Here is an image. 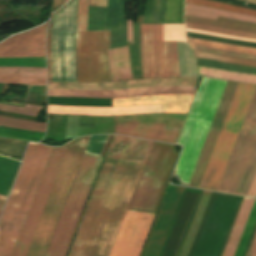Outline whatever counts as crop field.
<instances>
[{
  "mask_svg": "<svg viewBox=\"0 0 256 256\" xmlns=\"http://www.w3.org/2000/svg\"><path fill=\"white\" fill-rule=\"evenodd\" d=\"M2 209H3V207H2V206H0V214H1Z\"/></svg>",
  "mask_w": 256,
  "mask_h": 256,
  "instance_id": "obj_51",
  "label": "crop field"
},
{
  "mask_svg": "<svg viewBox=\"0 0 256 256\" xmlns=\"http://www.w3.org/2000/svg\"><path fill=\"white\" fill-rule=\"evenodd\" d=\"M110 136L90 137L45 256L66 255Z\"/></svg>",
  "mask_w": 256,
  "mask_h": 256,
  "instance_id": "obj_5",
  "label": "crop field"
},
{
  "mask_svg": "<svg viewBox=\"0 0 256 256\" xmlns=\"http://www.w3.org/2000/svg\"><path fill=\"white\" fill-rule=\"evenodd\" d=\"M0 125L41 132H45L46 130V124L43 123L30 122L6 117H0Z\"/></svg>",
  "mask_w": 256,
  "mask_h": 256,
  "instance_id": "obj_36",
  "label": "crop field"
},
{
  "mask_svg": "<svg viewBox=\"0 0 256 256\" xmlns=\"http://www.w3.org/2000/svg\"><path fill=\"white\" fill-rule=\"evenodd\" d=\"M162 105L131 106L118 108L62 107L48 105V113L84 115H123L137 113H160Z\"/></svg>",
  "mask_w": 256,
  "mask_h": 256,
  "instance_id": "obj_20",
  "label": "crop field"
},
{
  "mask_svg": "<svg viewBox=\"0 0 256 256\" xmlns=\"http://www.w3.org/2000/svg\"><path fill=\"white\" fill-rule=\"evenodd\" d=\"M77 16L78 0L55 14V24L52 16L47 39L48 82L53 24L50 81H77ZM109 39L110 31L78 32V82L110 81L106 54Z\"/></svg>",
  "mask_w": 256,
  "mask_h": 256,
  "instance_id": "obj_2",
  "label": "crop field"
},
{
  "mask_svg": "<svg viewBox=\"0 0 256 256\" xmlns=\"http://www.w3.org/2000/svg\"><path fill=\"white\" fill-rule=\"evenodd\" d=\"M255 89L254 85L238 84L200 189L217 190Z\"/></svg>",
  "mask_w": 256,
  "mask_h": 256,
  "instance_id": "obj_8",
  "label": "crop field"
},
{
  "mask_svg": "<svg viewBox=\"0 0 256 256\" xmlns=\"http://www.w3.org/2000/svg\"><path fill=\"white\" fill-rule=\"evenodd\" d=\"M175 39L186 42L184 25H164V41Z\"/></svg>",
  "mask_w": 256,
  "mask_h": 256,
  "instance_id": "obj_38",
  "label": "crop field"
},
{
  "mask_svg": "<svg viewBox=\"0 0 256 256\" xmlns=\"http://www.w3.org/2000/svg\"><path fill=\"white\" fill-rule=\"evenodd\" d=\"M165 0H148L145 23L163 24Z\"/></svg>",
  "mask_w": 256,
  "mask_h": 256,
  "instance_id": "obj_31",
  "label": "crop field"
},
{
  "mask_svg": "<svg viewBox=\"0 0 256 256\" xmlns=\"http://www.w3.org/2000/svg\"><path fill=\"white\" fill-rule=\"evenodd\" d=\"M186 30L189 31V32H195V33H200V34H206V35H213V36H219V37H226V38L239 39V40H247V41H255L256 42V40H249V39H242V38L218 35V34H213V33L205 32V31L190 30V29H186Z\"/></svg>",
  "mask_w": 256,
  "mask_h": 256,
  "instance_id": "obj_45",
  "label": "crop field"
},
{
  "mask_svg": "<svg viewBox=\"0 0 256 256\" xmlns=\"http://www.w3.org/2000/svg\"><path fill=\"white\" fill-rule=\"evenodd\" d=\"M127 139L112 138L69 256L84 253ZM151 143L128 139L83 256H109Z\"/></svg>",
  "mask_w": 256,
  "mask_h": 256,
  "instance_id": "obj_1",
  "label": "crop field"
},
{
  "mask_svg": "<svg viewBox=\"0 0 256 256\" xmlns=\"http://www.w3.org/2000/svg\"><path fill=\"white\" fill-rule=\"evenodd\" d=\"M95 120H111L110 117L79 116L78 126H95Z\"/></svg>",
  "mask_w": 256,
  "mask_h": 256,
  "instance_id": "obj_43",
  "label": "crop field"
},
{
  "mask_svg": "<svg viewBox=\"0 0 256 256\" xmlns=\"http://www.w3.org/2000/svg\"><path fill=\"white\" fill-rule=\"evenodd\" d=\"M0 83L46 85V68L0 67Z\"/></svg>",
  "mask_w": 256,
  "mask_h": 256,
  "instance_id": "obj_21",
  "label": "crop field"
},
{
  "mask_svg": "<svg viewBox=\"0 0 256 256\" xmlns=\"http://www.w3.org/2000/svg\"><path fill=\"white\" fill-rule=\"evenodd\" d=\"M247 196L256 197V174L254 176L253 182L251 184V187Z\"/></svg>",
  "mask_w": 256,
  "mask_h": 256,
  "instance_id": "obj_48",
  "label": "crop field"
},
{
  "mask_svg": "<svg viewBox=\"0 0 256 256\" xmlns=\"http://www.w3.org/2000/svg\"><path fill=\"white\" fill-rule=\"evenodd\" d=\"M134 45L129 46L133 79L143 78L140 52V24L133 23Z\"/></svg>",
  "mask_w": 256,
  "mask_h": 256,
  "instance_id": "obj_27",
  "label": "crop field"
},
{
  "mask_svg": "<svg viewBox=\"0 0 256 256\" xmlns=\"http://www.w3.org/2000/svg\"><path fill=\"white\" fill-rule=\"evenodd\" d=\"M111 30V47L127 45L125 0H108L107 9L89 7L88 31Z\"/></svg>",
  "mask_w": 256,
  "mask_h": 256,
  "instance_id": "obj_12",
  "label": "crop field"
},
{
  "mask_svg": "<svg viewBox=\"0 0 256 256\" xmlns=\"http://www.w3.org/2000/svg\"><path fill=\"white\" fill-rule=\"evenodd\" d=\"M52 147L30 143L0 220V256H11Z\"/></svg>",
  "mask_w": 256,
  "mask_h": 256,
  "instance_id": "obj_4",
  "label": "crop field"
},
{
  "mask_svg": "<svg viewBox=\"0 0 256 256\" xmlns=\"http://www.w3.org/2000/svg\"><path fill=\"white\" fill-rule=\"evenodd\" d=\"M67 146L52 148L12 256H26Z\"/></svg>",
  "mask_w": 256,
  "mask_h": 256,
  "instance_id": "obj_11",
  "label": "crop field"
},
{
  "mask_svg": "<svg viewBox=\"0 0 256 256\" xmlns=\"http://www.w3.org/2000/svg\"><path fill=\"white\" fill-rule=\"evenodd\" d=\"M67 1H69V0H65V3H66Z\"/></svg>",
  "mask_w": 256,
  "mask_h": 256,
  "instance_id": "obj_52",
  "label": "crop field"
},
{
  "mask_svg": "<svg viewBox=\"0 0 256 256\" xmlns=\"http://www.w3.org/2000/svg\"><path fill=\"white\" fill-rule=\"evenodd\" d=\"M227 82L203 78L177 144L185 145L174 173L189 183Z\"/></svg>",
  "mask_w": 256,
  "mask_h": 256,
  "instance_id": "obj_6",
  "label": "crop field"
},
{
  "mask_svg": "<svg viewBox=\"0 0 256 256\" xmlns=\"http://www.w3.org/2000/svg\"><path fill=\"white\" fill-rule=\"evenodd\" d=\"M127 38L128 45L133 44V36H132V21H127Z\"/></svg>",
  "mask_w": 256,
  "mask_h": 256,
  "instance_id": "obj_46",
  "label": "crop field"
},
{
  "mask_svg": "<svg viewBox=\"0 0 256 256\" xmlns=\"http://www.w3.org/2000/svg\"><path fill=\"white\" fill-rule=\"evenodd\" d=\"M243 1H247V2H251V3H255L256 4V0H243Z\"/></svg>",
  "mask_w": 256,
  "mask_h": 256,
  "instance_id": "obj_50",
  "label": "crop field"
},
{
  "mask_svg": "<svg viewBox=\"0 0 256 256\" xmlns=\"http://www.w3.org/2000/svg\"><path fill=\"white\" fill-rule=\"evenodd\" d=\"M255 199L244 197L222 256H233Z\"/></svg>",
  "mask_w": 256,
  "mask_h": 256,
  "instance_id": "obj_23",
  "label": "crop field"
},
{
  "mask_svg": "<svg viewBox=\"0 0 256 256\" xmlns=\"http://www.w3.org/2000/svg\"><path fill=\"white\" fill-rule=\"evenodd\" d=\"M198 75L236 82L256 84V76L254 75L239 74L200 66H198Z\"/></svg>",
  "mask_w": 256,
  "mask_h": 256,
  "instance_id": "obj_26",
  "label": "crop field"
},
{
  "mask_svg": "<svg viewBox=\"0 0 256 256\" xmlns=\"http://www.w3.org/2000/svg\"><path fill=\"white\" fill-rule=\"evenodd\" d=\"M237 84L238 83L228 82L226 85L225 91L223 93L222 99L220 101L219 107L217 109L216 115L214 117L213 123L211 125L210 131L208 133L195 171L193 173L192 179L190 181V187L198 188L200 185L201 179L203 177L204 171L206 169L207 163L209 161L210 155L212 153L216 139L220 132L221 126L223 124L224 118L226 116L227 110L229 108Z\"/></svg>",
  "mask_w": 256,
  "mask_h": 256,
  "instance_id": "obj_15",
  "label": "crop field"
},
{
  "mask_svg": "<svg viewBox=\"0 0 256 256\" xmlns=\"http://www.w3.org/2000/svg\"><path fill=\"white\" fill-rule=\"evenodd\" d=\"M185 15L204 17V18H209L214 20H216L218 16H221V17H227V18L256 23V18H253V17L233 14V13H228V12L214 10L206 7L188 5V4H185Z\"/></svg>",
  "mask_w": 256,
  "mask_h": 256,
  "instance_id": "obj_24",
  "label": "crop field"
},
{
  "mask_svg": "<svg viewBox=\"0 0 256 256\" xmlns=\"http://www.w3.org/2000/svg\"><path fill=\"white\" fill-rule=\"evenodd\" d=\"M195 87L191 86H163L144 87L118 91H79V90H48V96L63 97H89V98H123L136 96H152L166 94H189L194 95Z\"/></svg>",
  "mask_w": 256,
  "mask_h": 256,
  "instance_id": "obj_16",
  "label": "crop field"
},
{
  "mask_svg": "<svg viewBox=\"0 0 256 256\" xmlns=\"http://www.w3.org/2000/svg\"><path fill=\"white\" fill-rule=\"evenodd\" d=\"M6 196L0 195V205H4L5 201H6Z\"/></svg>",
  "mask_w": 256,
  "mask_h": 256,
  "instance_id": "obj_49",
  "label": "crop field"
},
{
  "mask_svg": "<svg viewBox=\"0 0 256 256\" xmlns=\"http://www.w3.org/2000/svg\"><path fill=\"white\" fill-rule=\"evenodd\" d=\"M187 39H188L189 43L192 45H198V46H204V47H210V48H216V49H222V50L256 55L255 48L241 47V46L223 44V43H218V42H213V41H208V40H201V39H191V38H187Z\"/></svg>",
  "mask_w": 256,
  "mask_h": 256,
  "instance_id": "obj_30",
  "label": "crop field"
},
{
  "mask_svg": "<svg viewBox=\"0 0 256 256\" xmlns=\"http://www.w3.org/2000/svg\"><path fill=\"white\" fill-rule=\"evenodd\" d=\"M256 171V92L217 191L247 195Z\"/></svg>",
  "mask_w": 256,
  "mask_h": 256,
  "instance_id": "obj_9",
  "label": "crop field"
},
{
  "mask_svg": "<svg viewBox=\"0 0 256 256\" xmlns=\"http://www.w3.org/2000/svg\"><path fill=\"white\" fill-rule=\"evenodd\" d=\"M185 23H186V28L201 29V30H207V31L232 35V36H236V37L256 39V34H250V33L242 32V31L228 30V29H222V28H217V27H213V26L193 24V23H188V25H189V27H188L187 22H185Z\"/></svg>",
  "mask_w": 256,
  "mask_h": 256,
  "instance_id": "obj_37",
  "label": "crop field"
},
{
  "mask_svg": "<svg viewBox=\"0 0 256 256\" xmlns=\"http://www.w3.org/2000/svg\"><path fill=\"white\" fill-rule=\"evenodd\" d=\"M178 154L153 142L128 210L155 215ZM126 211L110 256H139L154 216Z\"/></svg>",
  "mask_w": 256,
  "mask_h": 256,
  "instance_id": "obj_3",
  "label": "crop field"
},
{
  "mask_svg": "<svg viewBox=\"0 0 256 256\" xmlns=\"http://www.w3.org/2000/svg\"><path fill=\"white\" fill-rule=\"evenodd\" d=\"M111 81L132 79L128 47L108 49Z\"/></svg>",
  "mask_w": 256,
  "mask_h": 256,
  "instance_id": "obj_22",
  "label": "crop field"
},
{
  "mask_svg": "<svg viewBox=\"0 0 256 256\" xmlns=\"http://www.w3.org/2000/svg\"><path fill=\"white\" fill-rule=\"evenodd\" d=\"M196 78L150 79L116 83H48V89L118 90L144 86L191 85Z\"/></svg>",
  "mask_w": 256,
  "mask_h": 256,
  "instance_id": "obj_17",
  "label": "crop field"
},
{
  "mask_svg": "<svg viewBox=\"0 0 256 256\" xmlns=\"http://www.w3.org/2000/svg\"><path fill=\"white\" fill-rule=\"evenodd\" d=\"M182 190L168 185L142 256H158Z\"/></svg>",
  "mask_w": 256,
  "mask_h": 256,
  "instance_id": "obj_13",
  "label": "crop field"
},
{
  "mask_svg": "<svg viewBox=\"0 0 256 256\" xmlns=\"http://www.w3.org/2000/svg\"><path fill=\"white\" fill-rule=\"evenodd\" d=\"M20 162L0 156V194L8 195Z\"/></svg>",
  "mask_w": 256,
  "mask_h": 256,
  "instance_id": "obj_25",
  "label": "crop field"
},
{
  "mask_svg": "<svg viewBox=\"0 0 256 256\" xmlns=\"http://www.w3.org/2000/svg\"><path fill=\"white\" fill-rule=\"evenodd\" d=\"M185 21L228 27V28L249 31V32H256V25L254 24L243 23V22L225 19L221 17H219L217 21H214V20H209L204 18L185 16Z\"/></svg>",
  "mask_w": 256,
  "mask_h": 256,
  "instance_id": "obj_29",
  "label": "crop field"
},
{
  "mask_svg": "<svg viewBox=\"0 0 256 256\" xmlns=\"http://www.w3.org/2000/svg\"><path fill=\"white\" fill-rule=\"evenodd\" d=\"M186 3L189 4H195V5H201V6H208V7H214V8H220L244 15H250V16H256V11L250 10V9H245L241 7H236L232 5H227L223 3H218L210 0H186Z\"/></svg>",
  "mask_w": 256,
  "mask_h": 256,
  "instance_id": "obj_35",
  "label": "crop field"
},
{
  "mask_svg": "<svg viewBox=\"0 0 256 256\" xmlns=\"http://www.w3.org/2000/svg\"><path fill=\"white\" fill-rule=\"evenodd\" d=\"M115 133L175 144L181 128L162 124L114 122ZM181 132V131H180ZM178 140V139H177Z\"/></svg>",
  "mask_w": 256,
  "mask_h": 256,
  "instance_id": "obj_18",
  "label": "crop field"
},
{
  "mask_svg": "<svg viewBox=\"0 0 256 256\" xmlns=\"http://www.w3.org/2000/svg\"><path fill=\"white\" fill-rule=\"evenodd\" d=\"M89 6H93V7H97V6L106 7V0H89Z\"/></svg>",
  "mask_w": 256,
  "mask_h": 256,
  "instance_id": "obj_47",
  "label": "crop field"
},
{
  "mask_svg": "<svg viewBox=\"0 0 256 256\" xmlns=\"http://www.w3.org/2000/svg\"><path fill=\"white\" fill-rule=\"evenodd\" d=\"M144 78L180 77L176 42H162V25L141 24Z\"/></svg>",
  "mask_w": 256,
  "mask_h": 256,
  "instance_id": "obj_10",
  "label": "crop field"
},
{
  "mask_svg": "<svg viewBox=\"0 0 256 256\" xmlns=\"http://www.w3.org/2000/svg\"><path fill=\"white\" fill-rule=\"evenodd\" d=\"M88 0H79L78 31H87Z\"/></svg>",
  "mask_w": 256,
  "mask_h": 256,
  "instance_id": "obj_42",
  "label": "crop field"
},
{
  "mask_svg": "<svg viewBox=\"0 0 256 256\" xmlns=\"http://www.w3.org/2000/svg\"><path fill=\"white\" fill-rule=\"evenodd\" d=\"M191 47L193 48V50H196V51H202V52H208V53L256 60L255 55L240 54V53H234V52H228V51H222V50H216V49H210V48H204V47H198V46H192V45H191Z\"/></svg>",
  "mask_w": 256,
  "mask_h": 256,
  "instance_id": "obj_41",
  "label": "crop field"
},
{
  "mask_svg": "<svg viewBox=\"0 0 256 256\" xmlns=\"http://www.w3.org/2000/svg\"><path fill=\"white\" fill-rule=\"evenodd\" d=\"M255 223H256V200L254 202L253 208L249 215L248 221L246 223L245 229L243 231V234L241 236L240 242L238 244V247L236 249L234 256H243Z\"/></svg>",
  "mask_w": 256,
  "mask_h": 256,
  "instance_id": "obj_33",
  "label": "crop field"
},
{
  "mask_svg": "<svg viewBox=\"0 0 256 256\" xmlns=\"http://www.w3.org/2000/svg\"><path fill=\"white\" fill-rule=\"evenodd\" d=\"M194 96L167 95L112 99L113 106L163 104V112L187 113Z\"/></svg>",
  "mask_w": 256,
  "mask_h": 256,
  "instance_id": "obj_19",
  "label": "crop field"
},
{
  "mask_svg": "<svg viewBox=\"0 0 256 256\" xmlns=\"http://www.w3.org/2000/svg\"><path fill=\"white\" fill-rule=\"evenodd\" d=\"M211 192L204 191L201 197V200L199 202V205L197 207L196 213L194 215V218L192 220L191 226L189 228V231L187 233L186 239L184 241V244L182 246L181 252L179 256H187V253L189 251L190 245L192 243L193 237L195 235V232L197 230L198 224L200 222L201 216L203 214V211L205 209L206 203L208 201L209 195ZM195 238V237H194Z\"/></svg>",
  "mask_w": 256,
  "mask_h": 256,
  "instance_id": "obj_28",
  "label": "crop field"
},
{
  "mask_svg": "<svg viewBox=\"0 0 256 256\" xmlns=\"http://www.w3.org/2000/svg\"><path fill=\"white\" fill-rule=\"evenodd\" d=\"M89 137L70 142L27 256H44Z\"/></svg>",
  "mask_w": 256,
  "mask_h": 256,
  "instance_id": "obj_7",
  "label": "crop field"
},
{
  "mask_svg": "<svg viewBox=\"0 0 256 256\" xmlns=\"http://www.w3.org/2000/svg\"><path fill=\"white\" fill-rule=\"evenodd\" d=\"M245 256H256V229Z\"/></svg>",
  "mask_w": 256,
  "mask_h": 256,
  "instance_id": "obj_44",
  "label": "crop field"
},
{
  "mask_svg": "<svg viewBox=\"0 0 256 256\" xmlns=\"http://www.w3.org/2000/svg\"><path fill=\"white\" fill-rule=\"evenodd\" d=\"M47 23L0 43V57L46 56L44 46Z\"/></svg>",
  "mask_w": 256,
  "mask_h": 256,
  "instance_id": "obj_14",
  "label": "crop field"
},
{
  "mask_svg": "<svg viewBox=\"0 0 256 256\" xmlns=\"http://www.w3.org/2000/svg\"><path fill=\"white\" fill-rule=\"evenodd\" d=\"M0 66L46 67V57L0 58Z\"/></svg>",
  "mask_w": 256,
  "mask_h": 256,
  "instance_id": "obj_34",
  "label": "crop field"
},
{
  "mask_svg": "<svg viewBox=\"0 0 256 256\" xmlns=\"http://www.w3.org/2000/svg\"><path fill=\"white\" fill-rule=\"evenodd\" d=\"M41 108L42 107H40V106H34V105H28V104H26L25 107L0 105V110L18 113V114H22V115H30V116H36L38 111Z\"/></svg>",
  "mask_w": 256,
  "mask_h": 256,
  "instance_id": "obj_40",
  "label": "crop field"
},
{
  "mask_svg": "<svg viewBox=\"0 0 256 256\" xmlns=\"http://www.w3.org/2000/svg\"><path fill=\"white\" fill-rule=\"evenodd\" d=\"M193 52L196 57H200V58H206V59H212V60L242 64V65L256 66V61L237 59V58H231V57H225V56H219V55H213V54H207V53H201V52H195V51Z\"/></svg>",
  "mask_w": 256,
  "mask_h": 256,
  "instance_id": "obj_39",
  "label": "crop field"
},
{
  "mask_svg": "<svg viewBox=\"0 0 256 256\" xmlns=\"http://www.w3.org/2000/svg\"><path fill=\"white\" fill-rule=\"evenodd\" d=\"M198 65L227 70V71L256 75V67L235 65V64H229V63H223V62H217V61H211V60H205V59H199V58H198Z\"/></svg>",
  "mask_w": 256,
  "mask_h": 256,
  "instance_id": "obj_32",
  "label": "crop field"
}]
</instances>
